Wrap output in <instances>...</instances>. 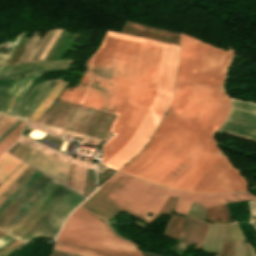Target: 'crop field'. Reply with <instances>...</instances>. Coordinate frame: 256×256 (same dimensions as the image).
Returning a JSON list of instances; mask_svg holds the SVG:
<instances>
[{
  "mask_svg": "<svg viewBox=\"0 0 256 256\" xmlns=\"http://www.w3.org/2000/svg\"><path fill=\"white\" fill-rule=\"evenodd\" d=\"M231 57V50L181 33L173 101L145 148L121 171L172 189L246 190L213 140L229 112L222 81Z\"/></svg>",
  "mask_w": 256,
  "mask_h": 256,
  "instance_id": "crop-field-1",
  "label": "crop field"
},
{
  "mask_svg": "<svg viewBox=\"0 0 256 256\" xmlns=\"http://www.w3.org/2000/svg\"><path fill=\"white\" fill-rule=\"evenodd\" d=\"M177 57L176 45L107 31L78 86L59 97L117 114L102 164L119 169L149 140L172 98Z\"/></svg>",
  "mask_w": 256,
  "mask_h": 256,
  "instance_id": "crop-field-2",
  "label": "crop field"
},
{
  "mask_svg": "<svg viewBox=\"0 0 256 256\" xmlns=\"http://www.w3.org/2000/svg\"><path fill=\"white\" fill-rule=\"evenodd\" d=\"M167 195H174L186 200L200 202L207 206H216L227 202L256 199L247 192L227 194L187 193L159 188L123 173H115L80 207L109 221L118 213H125L136 218L135 224L145 227L137 218L149 221L156 214ZM234 196H237L236 198ZM153 213L151 217L147 216Z\"/></svg>",
  "mask_w": 256,
  "mask_h": 256,
  "instance_id": "crop-field-3",
  "label": "crop field"
},
{
  "mask_svg": "<svg viewBox=\"0 0 256 256\" xmlns=\"http://www.w3.org/2000/svg\"><path fill=\"white\" fill-rule=\"evenodd\" d=\"M54 249L87 256H140L136 246L79 207L65 222Z\"/></svg>",
  "mask_w": 256,
  "mask_h": 256,
  "instance_id": "crop-field-4",
  "label": "crop field"
},
{
  "mask_svg": "<svg viewBox=\"0 0 256 256\" xmlns=\"http://www.w3.org/2000/svg\"><path fill=\"white\" fill-rule=\"evenodd\" d=\"M84 198L69 189L19 240L27 243L36 236L54 239L63 220Z\"/></svg>",
  "mask_w": 256,
  "mask_h": 256,
  "instance_id": "crop-field-5",
  "label": "crop field"
},
{
  "mask_svg": "<svg viewBox=\"0 0 256 256\" xmlns=\"http://www.w3.org/2000/svg\"><path fill=\"white\" fill-rule=\"evenodd\" d=\"M227 120L217 130L256 141V104L231 98Z\"/></svg>",
  "mask_w": 256,
  "mask_h": 256,
  "instance_id": "crop-field-6",
  "label": "crop field"
},
{
  "mask_svg": "<svg viewBox=\"0 0 256 256\" xmlns=\"http://www.w3.org/2000/svg\"><path fill=\"white\" fill-rule=\"evenodd\" d=\"M61 184V183H60ZM58 185L11 233L20 238L67 190Z\"/></svg>",
  "mask_w": 256,
  "mask_h": 256,
  "instance_id": "crop-field-7",
  "label": "crop field"
},
{
  "mask_svg": "<svg viewBox=\"0 0 256 256\" xmlns=\"http://www.w3.org/2000/svg\"><path fill=\"white\" fill-rule=\"evenodd\" d=\"M71 62L72 61H54V62H38V63H30V64L0 66V77L1 78L17 77V76H23L26 74H31L39 71L69 68L67 64Z\"/></svg>",
  "mask_w": 256,
  "mask_h": 256,
  "instance_id": "crop-field-8",
  "label": "crop field"
},
{
  "mask_svg": "<svg viewBox=\"0 0 256 256\" xmlns=\"http://www.w3.org/2000/svg\"><path fill=\"white\" fill-rule=\"evenodd\" d=\"M41 174L1 215L0 229L50 180Z\"/></svg>",
  "mask_w": 256,
  "mask_h": 256,
  "instance_id": "crop-field-9",
  "label": "crop field"
},
{
  "mask_svg": "<svg viewBox=\"0 0 256 256\" xmlns=\"http://www.w3.org/2000/svg\"><path fill=\"white\" fill-rule=\"evenodd\" d=\"M58 80L59 79H55V80H51V81H44V82H41V83H38L37 85H35L33 87V89L31 90L30 94L28 95V97L26 98V100L23 102V104L17 110L15 117L29 120V118L36 111V109L39 107V105L42 103V101L46 98V96L49 94V92L52 90V88L55 86V84L58 82ZM44 84H45V86L42 88V90L39 92V94L36 96V98L30 104V102L32 101L34 96L37 94V92L40 90V88ZM29 104H30V106L28 107Z\"/></svg>",
  "mask_w": 256,
  "mask_h": 256,
  "instance_id": "crop-field-10",
  "label": "crop field"
},
{
  "mask_svg": "<svg viewBox=\"0 0 256 256\" xmlns=\"http://www.w3.org/2000/svg\"><path fill=\"white\" fill-rule=\"evenodd\" d=\"M55 181L51 179L1 230L9 234L59 184Z\"/></svg>",
  "mask_w": 256,
  "mask_h": 256,
  "instance_id": "crop-field-11",
  "label": "crop field"
},
{
  "mask_svg": "<svg viewBox=\"0 0 256 256\" xmlns=\"http://www.w3.org/2000/svg\"><path fill=\"white\" fill-rule=\"evenodd\" d=\"M26 77L17 79L0 80V112L6 113L14 95L16 94L19 86ZM20 80V81H19ZM19 81V83H18ZM18 83L13 95L11 96L16 84Z\"/></svg>",
  "mask_w": 256,
  "mask_h": 256,
  "instance_id": "crop-field-12",
  "label": "crop field"
},
{
  "mask_svg": "<svg viewBox=\"0 0 256 256\" xmlns=\"http://www.w3.org/2000/svg\"><path fill=\"white\" fill-rule=\"evenodd\" d=\"M221 225L222 224H210V226L208 228V231L206 233V236H205V241L203 243L202 250H205V251H208V252L212 251L215 239L217 237V234H218V232L220 230ZM221 233H222V227H221V230H220V232L218 234V237L216 239V242H215V245H214V248H213L212 252H214L215 249H216V246H217V243L219 241ZM221 241H222V235H221V238H220V241L218 243V246H217V249H216L215 253L217 252L218 247H219ZM221 248H222V243H221L217 253H221Z\"/></svg>",
  "mask_w": 256,
  "mask_h": 256,
  "instance_id": "crop-field-13",
  "label": "crop field"
},
{
  "mask_svg": "<svg viewBox=\"0 0 256 256\" xmlns=\"http://www.w3.org/2000/svg\"><path fill=\"white\" fill-rule=\"evenodd\" d=\"M66 83L67 82L60 79L56 86L53 88V90L50 92V94L47 96V98L43 101V103L34 113V115L32 114L33 116L31 117V119H29L35 121L48 108V106L59 96V94L63 91ZM47 103H49V105Z\"/></svg>",
  "mask_w": 256,
  "mask_h": 256,
  "instance_id": "crop-field-14",
  "label": "crop field"
},
{
  "mask_svg": "<svg viewBox=\"0 0 256 256\" xmlns=\"http://www.w3.org/2000/svg\"><path fill=\"white\" fill-rule=\"evenodd\" d=\"M20 163L21 160L4 152L0 156V182L7 177Z\"/></svg>",
  "mask_w": 256,
  "mask_h": 256,
  "instance_id": "crop-field-15",
  "label": "crop field"
},
{
  "mask_svg": "<svg viewBox=\"0 0 256 256\" xmlns=\"http://www.w3.org/2000/svg\"><path fill=\"white\" fill-rule=\"evenodd\" d=\"M41 174L35 171L1 206L0 214Z\"/></svg>",
  "mask_w": 256,
  "mask_h": 256,
  "instance_id": "crop-field-16",
  "label": "crop field"
},
{
  "mask_svg": "<svg viewBox=\"0 0 256 256\" xmlns=\"http://www.w3.org/2000/svg\"><path fill=\"white\" fill-rule=\"evenodd\" d=\"M26 121H22L1 143H0V155L7 150L15 140L18 138Z\"/></svg>",
  "mask_w": 256,
  "mask_h": 256,
  "instance_id": "crop-field-17",
  "label": "crop field"
},
{
  "mask_svg": "<svg viewBox=\"0 0 256 256\" xmlns=\"http://www.w3.org/2000/svg\"><path fill=\"white\" fill-rule=\"evenodd\" d=\"M22 34L19 35L16 38L14 43L6 41V42L0 44V63H6L7 62L11 52L13 51V49H14L15 45L17 44V42L20 40Z\"/></svg>",
  "mask_w": 256,
  "mask_h": 256,
  "instance_id": "crop-field-18",
  "label": "crop field"
},
{
  "mask_svg": "<svg viewBox=\"0 0 256 256\" xmlns=\"http://www.w3.org/2000/svg\"><path fill=\"white\" fill-rule=\"evenodd\" d=\"M29 165L22 163L1 185L0 194L28 167Z\"/></svg>",
  "mask_w": 256,
  "mask_h": 256,
  "instance_id": "crop-field-19",
  "label": "crop field"
},
{
  "mask_svg": "<svg viewBox=\"0 0 256 256\" xmlns=\"http://www.w3.org/2000/svg\"><path fill=\"white\" fill-rule=\"evenodd\" d=\"M41 73H35V74H32V77L31 79L29 80V82L27 83V85L25 86V88L22 90V92L20 93V95L18 96L12 110L10 111L9 115H14L16 109L18 108L19 104L21 103V101L23 100V98L25 97L28 89L30 88L32 82L34 81L35 78L39 77Z\"/></svg>",
  "mask_w": 256,
  "mask_h": 256,
  "instance_id": "crop-field-20",
  "label": "crop field"
},
{
  "mask_svg": "<svg viewBox=\"0 0 256 256\" xmlns=\"http://www.w3.org/2000/svg\"><path fill=\"white\" fill-rule=\"evenodd\" d=\"M205 210H206L205 206H202V205H200L198 203L192 202V204L190 206V209H189V212H188L187 215L194 216V217H199V218H203L204 219Z\"/></svg>",
  "mask_w": 256,
  "mask_h": 256,
  "instance_id": "crop-field-21",
  "label": "crop field"
},
{
  "mask_svg": "<svg viewBox=\"0 0 256 256\" xmlns=\"http://www.w3.org/2000/svg\"><path fill=\"white\" fill-rule=\"evenodd\" d=\"M190 204H191V202L185 201V200L179 198L174 210L178 213L186 215Z\"/></svg>",
  "mask_w": 256,
  "mask_h": 256,
  "instance_id": "crop-field-22",
  "label": "crop field"
},
{
  "mask_svg": "<svg viewBox=\"0 0 256 256\" xmlns=\"http://www.w3.org/2000/svg\"><path fill=\"white\" fill-rule=\"evenodd\" d=\"M223 242H233L231 224H223Z\"/></svg>",
  "mask_w": 256,
  "mask_h": 256,
  "instance_id": "crop-field-23",
  "label": "crop field"
},
{
  "mask_svg": "<svg viewBox=\"0 0 256 256\" xmlns=\"http://www.w3.org/2000/svg\"><path fill=\"white\" fill-rule=\"evenodd\" d=\"M33 38H34V36H33ZM33 38L30 40V42H29V44H28V46H27L26 50L24 51V53H23L22 57L20 58L19 62H21V60H22V58H23V56H24L25 52L27 51V49H28V47H29V45H30L31 41L33 40ZM37 40H38V39H37ZM35 41H36V38H34V40L32 41V43H31V45H30V47H29L28 51L26 52V54H25V56H24V58H23L22 62L26 61V59H27V57H28V55H29V53H30V50H31V48H32L33 44L35 43ZM36 42H37V41H36ZM33 47H34V46H33ZM32 50H33V48H32ZM36 50H37V49H36ZM36 50H35V51H36ZM35 51H34V52H32V51H31V53H30V55H29V57H28L27 61H30V60H31V58H32V56L34 55Z\"/></svg>",
  "mask_w": 256,
  "mask_h": 256,
  "instance_id": "crop-field-24",
  "label": "crop field"
},
{
  "mask_svg": "<svg viewBox=\"0 0 256 256\" xmlns=\"http://www.w3.org/2000/svg\"><path fill=\"white\" fill-rule=\"evenodd\" d=\"M233 226V233H234V242H242L245 241L237 224L236 223H232Z\"/></svg>",
  "mask_w": 256,
  "mask_h": 256,
  "instance_id": "crop-field-25",
  "label": "crop field"
},
{
  "mask_svg": "<svg viewBox=\"0 0 256 256\" xmlns=\"http://www.w3.org/2000/svg\"><path fill=\"white\" fill-rule=\"evenodd\" d=\"M16 240L11 238V237H9V236H7V235L2 237V238H0V249H2L4 247H6L7 245L15 242Z\"/></svg>",
  "mask_w": 256,
  "mask_h": 256,
  "instance_id": "crop-field-26",
  "label": "crop field"
},
{
  "mask_svg": "<svg viewBox=\"0 0 256 256\" xmlns=\"http://www.w3.org/2000/svg\"><path fill=\"white\" fill-rule=\"evenodd\" d=\"M53 31H54V29H53V30H51V32L49 31V32H50V34H49V32L46 34V36L44 37V39H43V41H42V43H41L40 47H39V48H38V50L36 51V53H35V55H34V57H33V59H32V60H35L36 56L38 55L39 51H40V50H41V48H42V45H43V43H44V41H45L46 37H47V36H48V34H49L48 38L46 39V41H45V43H44L43 48L45 47V45H46V43L48 42V40L50 39V37H51V35H52ZM43 48H42V50H43ZM42 50L40 51V53L42 52ZM40 53H39V55H40ZM39 55H38V56H39ZM38 56H37V58H38ZM37 58H36V60H37Z\"/></svg>",
  "mask_w": 256,
  "mask_h": 256,
  "instance_id": "crop-field-27",
  "label": "crop field"
},
{
  "mask_svg": "<svg viewBox=\"0 0 256 256\" xmlns=\"http://www.w3.org/2000/svg\"><path fill=\"white\" fill-rule=\"evenodd\" d=\"M21 119H18L1 137L0 142L21 122Z\"/></svg>",
  "mask_w": 256,
  "mask_h": 256,
  "instance_id": "crop-field-28",
  "label": "crop field"
},
{
  "mask_svg": "<svg viewBox=\"0 0 256 256\" xmlns=\"http://www.w3.org/2000/svg\"><path fill=\"white\" fill-rule=\"evenodd\" d=\"M247 245V250H248V256H256L252 248L250 247L249 243H246ZM246 245L243 243L244 246V251H245V256H247V250H246Z\"/></svg>",
  "mask_w": 256,
  "mask_h": 256,
  "instance_id": "crop-field-29",
  "label": "crop field"
},
{
  "mask_svg": "<svg viewBox=\"0 0 256 256\" xmlns=\"http://www.w3.org/2000/svg\"><path fill=\"white\" fill-rule=\"evenodd\" d=\"M20 243H21V242L17 241V242H15V243H13V244L7 246L6 248L0 250V254H2L3 252H5V251H7V250H9V249H11V248H13L14 246H16V245H18V244H20Z\"/></svg>",
  "mask_w": 256,
  "mask_h": 256,
  "instance_id": "crop-field-30",
  "label": "crop field"
},
{
  "mask_svg": "<svg viewBox=\"0 0 256 256\" xmlns=\"http://www.w3.org/2000/svg\"><path fill=\"white\" fill-rule=\"evenodd\" d=\"M240 247H241V256H244L242 243H240ZM237 256H240L239 243H237Z\"/></svg>",
  "mask_w": 256,
  "mask_h": 256,
  "instance_id": "crop-field-31",
  "label": "crop field"
},
{
  "mask_svg": "<svg viewBox=\"0 0 256 256\" xmlns=\"http://www.w3.org/2000/svg\"><path fill=\"white\" fill-rule=\"evenodd\" d=\"M232 256H236V246H235V244H233V255Z\"/></svg>",
  "mask_w": 256,
  "mask_h": 256,
  "instance_id": "crop-field-32",
  "label": "crop field"
},
{
  "mask_svg": "<svg viewBox=\"0 0 256 256\" xmlns=\"http://www.w3.org/2000/svg\"><path fill=\"white\" fill-rule=\"evenodd\" d=\"M251 221H252L253 224L256 226V220H252V219H251Z\"/></svg>",
  "mask_w": 256,
  "mask_h": 256,
  "instance_id": "crop-field-33",
  "label": "crop field"
},
{
  "mask_svg": "<svg viewBox=\"0 0 256 256\" xmlns=\"http://www.w3.org/2000/svg\"><path fill=\"white\" fill-rule=\"evenodd\" d=\"M4 235H6V234H4V233L0 232V237H2V236H4Z\"/></svg>",
  "mask_w": 256,
  "mask_h": 256,
  "instance_id": "crop-field-34",
  "label": "crop field"
}]
</instances>
